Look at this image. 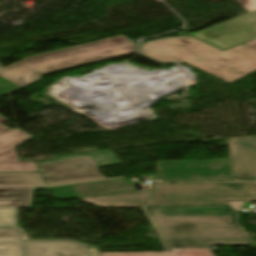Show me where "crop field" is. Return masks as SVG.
Segmentation results:
<instances>
[{"instance_id":"1","label":"crop field","mask_w":256,"mask_h":256,"mask_svg":"<svg viewBox=\"0 0 256 256\" xmlns=\"http://www.w3.org/2000/svg\"><path fill=\"white\" fill-rule=\"evenodd\" d=\"M166 251H211L210 245H248L231 207L144 208Z\"/></svg>"},{"instance_id":"2","label":"crop field","mask_w":256,"mask_h":256,"mask_svg":"<svg viewBox=\"0 0 256 256\" xmlns=\"http://www.w3.org/2000/svg\"><path fill=\"white\" fill-rule=\"evenodd\" d=\"M141 52L161 62H186L229 83L256 70V49L245 44L220 51L182 36L143 43Z\"/></svg>"},{"instance_id":"3","label":"crop field","mask_w":256,"mask_h":256,"mask_svg":"<svg viewBox=\"0 0 256 256\" xmlns=\"http://www.w3.org/2000/svg\"><path fill=\"white\" fill-rule=\"evenodd\" d=\"M136 45L123 35L46 52L0 70V98L41 80L40 75L133 53Z\"/></svg>"},{"instance_id":"4","label":"crop field","mask_w":256,"mask_h":256,"mask_svg":"<svg viewBox=\"0 0 256 256\" xmlns=\"http://www.w3.org/2000/svg\"><path fill=\"white\" fill-rule=\"evenodd\" d=\"M256 201V183L154 184L151 207L230 206Z\"/></svg>"},{"instance_id":"5","label":"crop field","mask_w":256,"mask_h":256,"mask_svg":"<svg viewBox=\"0 0 256 256\" xmlns=\"http://www.w3.org/2000/svg\"><path fill=\"white\" fill-rule=\"evenodd\" d=\"M118 164L121 162L110 150L63 156L37 163L48 185L102 179L105 177L99 174L97 167Z\"/></svg>"},{"instance_id":"6","label":"crop field","mask_w":256,"mask_h":256,"mask_svg":"<svg viewBox=\"0 0 256 256\" xmlns=\"http://www.w3.org/2000/svg\"><path fill=\"white\" fill-rule=\"evenodd\" d=\"M155 165V181H232L229 158L212 161H155Z\"/></svg>"},{"instance_id":"7","label":"crop field","mask_w":256,"mask_h":256,"mask_svg":"<svg viewBox=\"0 0 256 256\" xmlns=\"http://www.w3.org/2000/svg\"><path fill=\"white\" fill-rule=\"evenodd\" d=\"M248 13L191 34L221 50L256 38V0H235Z\"/></svg>"},{"instance_id":"8","label":"crop field","mask_w":256,"mask_h":256,"mask_svg":"<svg viewBox=\"0 0 256 256\" xmlns=\"http://www.w3.org/2000/svg\"><path fill=\"white\" fill-rule=\"evenodd\" d=\"M233 181H256V137L228 139Z\"/></svg>"},{"instance_id":"9","label":"crop field","mask_w":256,"mask_h":256,"mask_svg":"<svg viewBox=\"0 0 256 256\" xmlns=\"http://www.w3.org/2000/svg\"><path fill=\"white\" fill-rule=\"evenodd\" d=\"M25 256H98V249L70 240H25Z\"/></svg>"},{"instance_id":"10","label":"crop field","mask_w":256,"mask_h":256,"mask_svg":"<svg viewBox=\"0 0 256 256\" xmlns=\"http://www.w3.org/2000/svg\"><path fill=\"white\" fill-rule=\"evenodd\" d=\"M31 137L17 128L0 134V172H39L35 162H19L14 149Z\"/></svg>"},{"instance_id":"11","label":"crop field","mask_w":256,"mask_h":256,"mask_svg":"<svg viewBox=\"0 0 256 256\" xmlns=\"http://www.w3.org/2000/svg\"><path fill=\"white\" fill-rule=\"evenodd\" d=\"M141 183V182H136ZM127 184L124 178L96 181L82 184L72 185L74 191L76 192L78 198L90 197L104 194H112L126 191H134L136 188L133 184Z\"/></svg>"},{"instance_id":"12","label":"crop field","mask_w":256,"mask_h":256,"mask_svg":"<svg viewBox=\"0 0 256 256\" xmlns=\"http://www.w3.org/2000/svg\"><path fill=\"white\" fill-rule=\"evenodd\" d=\"M150 190L110 195L96 198L81 199L80 201L94 206H131L140 207L149 204Z\"/></svg>"},{"instance_id":"13","label":"crop field","mask_w":256,"mask_h":256,"mask_svg":"<svg viewBox=\"0 0 256 256\" xmlns=\"http://www.w3.org/2000/svg\"><path fill=\"white\" fill-rule=\"evenodd\" d=\"M32 195L31 187L0 188V207H27Z\"/></svg>"},{"instance_id":"14","label":"crop field","mask_w":256,"mask_h":256,"mask_svg":"<svg viewBox=\"0 0 256 256\" xmlns=\"http://www.w3.org/2000/svg\"><path fill=\"white\" fill-rule=\"evenodd\" d=\"M0 256H23L18 229H0Z\"/></svg>"},{"instance_id":"15","label":"crop field","mask_w":256,"mask_h":256,"mask_svg":"<svg viewBox=\"0 0 256 256\" xmlns=\"http://www.w3.org/2000/svg\"><path fill=\"white\" fill-rule=\"evenodd\" d=\"M39 173L0 174V185H44Z\"/></svg>"},{"instance_id":"16","label":"crop field","mask_w":256,"mask_h":256,"mask_svg":"<svg viewBox=\"0 0 256 256\" xmlns=\"http://www.w3.org/2000/svg\"><path fill=\"white\" fill-rule=\"evenodd\" d=\"M99 256H214L212 252L99 253Z\"/></svg>"},{"instance_id":"17","label":"crop field","mask_w":256,"mask_h":256,"mask_svg":"<svg viewBox=\"0 0 256 256\" xmlns=\"http://www.w3.org/2000/svg\"><path fill=\"white\" fill-rule=\"evenodd\" d=\"M0 226H17V208H0Z\"/></svg>"},{"instance_id":"18","label":"crop field","mask_w":256,"mask_h":256,"mask_svg":"<svg viewBox=\"0 0 256 256\" xmlns=\"http://www.w3.org/2000/svg\"><path fill=\"white\" fill-rule=\"evenodd\" d=\"M56 200L72 199L75 198L69 186L51 188Z\"/></svg>"},{"instance_id":"19","label":"crop field","mask_w":256,"mask_h":256,"mask_svg":"<svg viewBox=\"0 0 256 256\" xmlns=\"http://www.w3.org/2000/svg\"><path fill=\"white\" fill-rule=\"evenodd\" d=\"M9 122L7 119L3 118L2 116H0V133L3 131L8 130L6 127L2 126L1 124Z\"/></svg>"},{"instance_id":"20","label":"crop field","mask_w":256,"mask_h":256,"mask_svg":"<svg viewBox=\"0 0 256 256\" xmlns=\"http://www.w3.org/2000/svg\"><path fill=\"white\" fill-rule=\"evenodd\" d=\"M245 44L250 45V46L256 48V40L250 41V42L245 43Z\"/></svg>"},{"instance_id":"21","label":"crop field","mask_w":256,"mask_h":256,"mask_svg":"<svg viewBox=\"0 0 256 256\" xmlns=\"http://www.w3.org/2000/svg\"><path fill=\"white\" fill-rule=\"evenodd\" d=\"M0 69H1V67H0Z\"/></svg>"}]
</instances>
